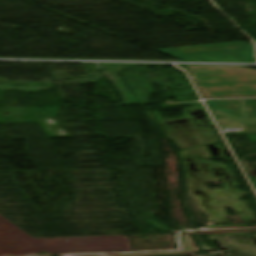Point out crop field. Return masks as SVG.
<instances>
[{"label":"crop field","instance_id":"crop-field-1","mask_svg":"<svg viewBox=\"0 0 256 256\" xmlns=\"http://www.w3.org/2000/svg\"><path fill=\"white\" fill-rule=\"evenodd\" d=\"M204 98L256 96V70L242 67L187 66Z\"/></svg>","mask_w":256,"mask_h":256},{"label":"crop field","instance_id":"crop-field-2","mask_svg":"<svg viewBox=\"0 0 256 256\" xmlns=\"http://www.w3.org/2000/svg\"><path fill=\"white\" fill-rule=\"evenodd\" d=\"M248 47H252V45H248L243 42H234V43H222V44L201 45V46L177 47V48L164 49L159 51H162L169 55H180V54L223 51V50L240 49V48H248Z\"/></svg>","mask_w":256,"mask_h":256}]
</instances>
